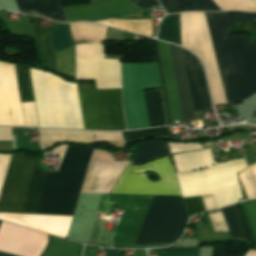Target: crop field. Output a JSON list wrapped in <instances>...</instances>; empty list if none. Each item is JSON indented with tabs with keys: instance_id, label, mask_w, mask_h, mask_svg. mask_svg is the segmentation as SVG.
Here are the masks:
<instances>
[{
	"instance_id": "5a996713",
	"label": "crop field",
	"mask_w": 256,
	"mask_h": 256,
	"mask_svg": "<svg viewBox=\"0 0 256 256\" xmlns=\"http://www.w3.org/2000/svg\"><path fill=\"white\" fill-rule=\"evenodd\" d=\"M123 106L128 129L148 126L142 88L160 87L156 63L121 64Z\"/></svg>"
},
{
	"instance_id": "8a807250",
	"label": "crop field",
	"mask_w": 256,
	"mask_h": 256,
	"mask_svg": "<svg viewBox=\"0 0 256 256\" xmlns=\"http://www.w3.org/2000/svg\"><path fill=\"white\" fill-rule=\"evenodd\" d=\"M91 151L68 146L59 169L49 173L37 168L38 160L12 154L0 194V212L36 214L48 173L37 214L72 216Z\"/></svg>"
},
{
	"instance_id": "34b2d1b8",
	"label": "crop field",
	"mask_w": 256,
	"mask_h": 256,
	"mask_svg": "<svg viewBox=\"0 0 256 256\" xmlns=\"http://www.w3.org/2000/svg\"><path fill=\"white\" fill-rule=\"evenodd\" d=\"M183 197L213 194L216 207L234 202L242 197L235 173L247 168L243 159L215 165L209 149L173 155Z\"/></svg>"
},
{
	"instance_id": "e52e79f7",
	"label": "crop field",
	"mask_w": 256,
	"mask_h": 256,
	"mask_svg": "<svg viewBox=\"0 0 256 256\" xmlns=\"http://www.w3.org/2000/svg\"><path fill=\"white\" fill-rule=\"evenodd\" d=\"M85 129L124 130L120 89L95 90L77 83Z\"/></svg>"
},
{
	"instance_id": "22f410ed",
	"label": "crop field",
	"mask_w": 256,
	"mask_h": 256,
	"mask_svg": "<svg viewBox=\"0 0 256 256\" xmlns=\"http://www.w3.org/2000/svg\"><path fill=\"white\" fill-rule=\"evenodd\" d=\"M0 125H24L14 65L1 62Z\"/></svg>"
},
{
	"instance_id": "28ad6ade",
	"label": "crop field",
	"mask_w": 256,
	"mask_h": 256,
	"mask_svg": "<svg viewBox=\"0 0 256 256\" xmlns=\"http://www.w3.org/2000/svg\"><path fill=\"white\" fill-rule=\"evenodd\" d=\"M69 22L94 21L113 18L140 11L126 0H103L94 4L63 8ZM135 34L151 37V20H114L95 21Z\"/></svg>"
},
{
	"instance_id": "92a150f3",
	"label": "crop field",
	"mask_w": 256,
	"mask_h": 256,
	"mask_svg": "<svg viewBox=\"0 0 256 256\" xmlns=\"http://www.w3.org/2000/svg\"><path fill=\"white\" fill-rule=\"evenodd\" d=\"M221 210L224 215L231 237L250 243L238 205H232L226 208H222Z\"/></svg>"
},
{
	"instance_id": "ae1a2a85",
	"label": "crop field",
	"mask_w": 256,
	"mask_h": 256,
	"mask_svg": "<svg viewBox=\"0 0 256 256\" xmlns=\"http://www.w3.org/2000/svg\"><path fill=\"white\" fill-rule=\"evenodd\" d=\"M50 42L53 47V51L63 50L72 44L71 36L69 33L67 24H58L57 29L52 31Z\"/></svg>"
},
{
	"instance_id": "120bbe31",
	"label": "crop field",
	"mask_w": 256,
	"mask_h": 256,
	"mask_svg": "<svg viewBox=\"0 0 256 256\" xmlns=\"http://www.w3.org/2000/svg\"><path fill=\"white\" fill-rule=\"evenodd\" d=\"M183 199H184L188 218L205 211L201 196L188 197Z\"/></svg>"
},
{
	"instance_id": "a9b5d70f",
	"label": "crop field",
	"mask_w": 256,
	"mask_h": 256,
	"mask_svg": "<svg viewBox=\"0 0 256 256\" xmlns=\"http://www.w3.org/2000/svg\"><path fill=\"white\" fill-rule=\"evenodd\" d=\"M157 39L181 46L179 14L172 15L160 23Z\"/></svg>"
},
{
	"instance_id": "d1516ede",
	"label": "crop field",
	"mask_w": 256,
	"mask_h": 256,
	"mask_svg": "<svg viewBox=\"0 0 256 256\" xmlns=\"http://www.w3.org/2000/svg\"><path fill=\"white\" fill-rule=\"evenodd\" d=\"M127 162H113L105 150H93L80 193L107 194Z\"/></svg>"
},
{
	"instance_id": "733c2abd",
	"label": "crop field",
	"mask_w": 256,
	"mask_h": 256,
	"mask_svg": "<svg viewBox=\"0 0 256 256\" xmlns=\"http://www.w3.org/2000/svg\"><path fill=\"white\" fill-rule=\"evenodd\" d=\"M20 12L42 15L53 20L65 22L62 9L57 0H14Z\"/></svg>"
},
{
	"instance_id": "d8731c3e",
	"label": "crop field",
	"mask_w": 256,
	"mask_h": 256,
	"mask_svg": "<svg viewBox=\"0 0 256 256\" xmlns=\"http://www.w3.org/2000/svg\"><path fill=\"white\" fill-rule=\"evenodd\" d=\"M182 46L194 52L204 64L214 104H227L203 13L180 14Z\"/></svg>"
},
{
	"instance_id": "dd49c442",
	"label": "crop field",
	"mask_w": 256,
	"mask_h": 256,
	"mask_svg": "<svg viewBox=\"0 0 256 256\" xmlns=\"http://www.w3.org/2000/svg\"><path fill=\"white\" fill-rule=\"evenodd\" d=\"M187 221L182 196H154L134 245L175 242Z\"/></svg>"
},
{
	"instance_id": "bd1437ed",
	"label": "crop field",
	"mask_w": 256,
	"mask_h": 256,
	"mask_svg": "<svg viewBox=\"0 0 256 256\" xmlns=\"http://www.w3.org/2000/svg\"><path fill=\"white\" fill-rule=\"evenodd\" d=\"M76 57L105 58L103 43L75 45Z\"/></svg>"
},
{
	"instance_id": "412701ff",
	"label": "crop field",
	"mask_w": 256,
	"mask_h": 256,
	"mask_svg": "<svg viewBox=\"0 0 256 256\" xmlns=\"http://www.w3.org/2000/svg\"><path fill=\"white\" fill-rule=\"evenodd\" d=\"M29 71L40 126L84 129L76 85L45 72Z\"/></svg>"
},
{
	"instance_id": "00972430",
	"label": "crop field",
	"mask_w": 256,
	"mask_h": 256,
	"mask_svg": "<svg viewBox=\"0 0 256 256\" xmlns=\"http://www.w3.org/2000/svg\"><path fill=\"white\" fill-rule=\"evenodd\" d=\"M144 100L150 125L165 124L164 112L161 106L158 89L145 92Z\"/></svg>"
},
{
	"instance_id": "f4fd0767",
	"label": "crop field",
	"mask_w": 256,
	"mask_h": 256,
	"mask_svg": "<svg viewBox=\"0 0 256 256\" xmlns=\"http://www.w3.org/2000/svg\"><path fill=\"white\" fill-rule=\"evenodd\" d=\"M151 43L153 47V62H158V66H159V72H160V78H161V84H162V90H163V96H164L168 120H170V118L171 120H182V118L183 120H195L194 113L192 110V104H191V98H190V92H189V86L187 81L182 48L170 44L176 82H177V88H178V94H179V100H180V106H181V112H182V118H181L170 46L169 44L157 41L160 60H161V66H162V72H163V78L165 83L166 95L168 100L169 112H170V118H169V112H168V106L166 101L161 66L159 61L157 43H156V40H152Z\"/></svg>"
},
{
	"instance_id": "c035e120",
	"label": "crop field",
	"mask_w": 256,
	"mask_h": 256,
	"mask_svg": "<svg viewBox=\"0 0 256 256\" xmlns=\"http://www.w3.org/2000/svg\"><path fill=\"white\" fill-rule=\"evenodd\" d=\"M0 140H11L10 128H0Z\"/></svg>"
},
{
	"instance_id": "750c4746",
	"label": "crop field",
	"mask_w": 256,
	"mask_h": 256,
	"mask_svg": "<svg viewBox=\"0 0 256 256\" xmlns=\"http://www.w3.org/2000/svg\"><path fill=\"white\" fill-rule=\"evenodd\" d=\"M247 222L251 237L256 246V200L239 204Z\"/></svg>"
},
{
	"instance_id": "d9b57169",
	"label": "crop field",
	"mask_w": 256,
	"mask_h": 256,
	"mask_svg": "<svg viewBox=\"0 0 256 256\" xmlns=\"http://www.w3.org/2000/svg\"><path fill=\"white\" fill-rule=\"evenodd\" d=\"M184 57L190 84L194 112L212 108L210 96L199 61L190 52L184 50Z\"/></svg>"
},
{
	"instance_id": "214f88e0",
	"label": "crop field",
	"mask_w": 256,
	"mask_h": 256,
	"mask_svg": "<svg viewBox=\"0 0 256 256\" xmlns=\"http://www.w3.org/2000/svg\"><path fill=\"white\" fill-rule=\"evenodd\" d=\"M210 11H220L212 0H201ZM200 0H183L190 11H209ZM167 13L189 11L182 0H159Z\"/></svg>"
},
{
	"instance_id": "d32e631a",
	"label": "crop field",
	"mask_w": 256,
	"mask_h": 256,
	"mask_svg": "<svg viewBox=\"0 0 256 256\" xmlns=\"http://www.w3.org/2000/svg\"><path fill=\"white\" fill-rule=\"evenodd\" d=\"M25 126H38L33 102L21 103Z\"/></svg>"
},
{
	"instance_id": "d3111659",
	"label": "crop field",
	"mask_w": 256,
	"mask_h": 256,
	"mask_svg": "<svg viewBox=\"0 0 256 256\" xmlns=\"http://www.w3.org/2000/svg\"><path fill=\"white\" fill-rule=\"evenodd\" d=\"M248 199L256 198V164L238 175Z\"/></svg>"
},
{
	"instance_id": "5866460e",
	"label": "crop field",
	"mask_w": 256,
	"mask_h": 256,
	"mask_svg": "<svg viewBox=\"0 0 256 256\" xmlns=\"http://www.w3.org/2000/svg\"><path fill=\"white\" fill-rule=\"evenodd\" d=\"M168 144H169L171 153L201 148L200 145H198V143H168Z\"/></svg>"
},
{
	"instance_id": "4177f3b9",
	"label": "crop field",
	"mask_w": 256,
	"mask_h": 256,
	"mask_svg": "<svg viewBox=\"0 0 256 256\" xmlns=\"http://www.w3.org/2000/svg\"><path fill=\"white\" fill-rule=\"evenodd\" d=\"M124 141L145 139L151 137H176L178 134H172L171 127H158L137 131L122 132Z\"/></svg>"
},
{
	"instance_id": "eef30255",
	"label": "crop field",
	"mask_w": 256,
	"mask_h": 256,
	"mask_svg": "<svg viewBox=\"0 0 256 256\" xmlns=\"http://www.w3.org/2000/svg\"><path fill=\"white\" fill-rule=\"evenodd\" d=\"M15 67L21 102L34 101L28 68L17 64Z\"/></svg>"
},
{
	"instance_id": "3316defc",
	"label": "crop field",
	"mask_w": 256,
	"mask_h": 256,
	"mask_svg": "<svg viewBox=\"0 0 256 256\" xmlns=\"http://www.w3.org/2000/svg\"><path fill=\"white\" fill-rule=\"evenodd\" d=\"M130 170L129 163L110 194L181 195L175 170L168 156L135 166L132 170V173L152 170L158 174L160 182L151 181L144 174H130Z\"/></svg>"
},
{
	"instance_id": "03da06ac",
	"label": "crop field",
	"mask_w": 256,
	"mask_h": 256,
	"mask_svg": "<svg viewBox=\"0 0 256 256\" xmlns=\"http://www.w3.org/2000/svg\"><path fill=\"white\" fill-rule=\"evenodd\" d=\"M245 256H256V251H252L249 249Z\"/></svg>"
},
{
	"instance_id": "028f5c9d",
	"label": "crop field",
	"mask_w": 256,
	"mask_h": 256,
	"mask_svg": "<svg viewBox=\"0 0 256 256\" xmlns=\"http://www.w3.org/2000/svg\"><path fill=\"white\" fill-rule=\"evenodd\" d=\"M231 23L256 19V13L227 12Z\"/></svg>"
},
{
	"instance_id": "ac0d7876",
	"label": "crop field",
	"mask_w": 256,
	"mask_h": 256,
	"mask_svg": "<svg viewBox=\"0 0 256 256\" xmlns=\"http://www.w3.org/2000/svg\"><path fill=\"white\" fill-rule=\"evenodd\" d=\"M204 14L227 102L256 94V43L232 36L226 12Z\"/></svg>"
},
{
	"instance_id": "0bd39190",
	"label": "crop field",
	"mask_w": 256,
	"mask_h": 256,
	"mask_svg": "<svg viewBox=\"0 0 256 256\" xmlns=\"http://www.w3.org/2000/svg\"><path fill=\"white\" fill-rule=\"evenodd\" d=\"M10 155H0V190L8 166Z\"/></svg>"
},
{
	"instance_id": "cbeb9de0",
	"label": "crop field",
	"mask_w": 256,
	"mask_h": 256,
	"mask_svg": "<svg viewBox=\"0 0 256 256\" xmlns=\"http://www.w3.org/2000/svg\"><path fill=\"white\" fill-rule=\"evenodd\" d=\"M76 79H96V89L120 88L119 60L76 58Z\"/></svg>"
},
{
	"instance_id": "b80d0937",
	"label": "crop field",
	"mask_w": 256,
	"mask_h": 256,
	"mask_svg": "<svg viewBox=\"0 0 256 256\" xmlns=\"http://www.w3.org/2000/svg\"><path fill=\"white\" fill-rule=\"evenodd\" d=\"M134 5L147 9L151 6L158 5V2H157V0H141L137 3H135Z\"/></svg>"
},
{
	"instance_id": "b54c1fbb",
	"label": "crop field",
	"mask_w": 256,
	"mask_h": 256,
	"mask_svg": "<svg viewBox=\"0 0 256 256\" xmlns=\"http://www.w3.org/2000/svg\"><path fill=\"white\" fill-rule=\"evenodd\" d=\"M129 2H131L132 4L139 1V0H128Z\"/></svg>"
},
{
	"instance_id": "bc2a9ffb",
	"label": "crop field",
	"mask_w": 256,
	"mask_h": 256,
	"mask_svg": "<svg viewBox=\"0 0 256 256\" xmlns=\"http://www.w3.org/2000/svg\"><path fill=\"white\" fill-rule=\"evenodd\" d=\"M1 222V221H0ZM82 245L48 235V244L39 256H80ZM0 256H13L1 253Z\"/></svg>"
},
{
	"instance_id": "e1f06a70",
	"label": "crop field",
	"mask_w": 256,
	"mask_h": 256,
	"mask_svg": "<svg viewBox=\"0 0 256 256\" xmlns=\"http://www.w3.org/2000/svg\"><path fill=\"white\" fill-rule=\"evenodd\" d=\"M95 140H122L119 132H94Z\"/></svg>"
},
{
	"instance_id": "5142ce71",
	"label": "crop field",
	"mask_w": 256,
	"mask_h": 256,
	"mask_svg": "<svg viewBox=\"0 0 256 256\" xmlns=\"http://www.w3.org/2000/svg\"><path fill=\"white\" fill-rule=\"evenodd\" d=\"M72 217L0 213V219L65 238Z\"/></svg>"
},
{
	"instance_id": "730fd06b",
	"label": "crop field",
	"mask_w": 256,
	"mask_h": 256,
	"mask_svg": "<svg viewBox=\"0 0 256 256\" xmlns=\"http://www.w3.org/2000/svg\"><path fill=\"white\" fill-rule=\"evenodd\" d=\"M57 71L75 77L74 46L55 53Z\"/></svg>"
},
{
	"instance_id": "dafd665d",
	"label": "crop field",
	"mask_w": 256,
	"mask_h": 256,
	"mask_svg": "<svg viewBox=\"0 0 256 256\" xmlns=\"http://www.w3.org/2000/svg\"><path fill=\"white\" fill-rule=\"evenodd\" d=\"M135 148L137 150V157L132 160L133 165L153 160L170 153L168 144L161 142H147Z\"/></svg>"
},
{
	"instance_id": "4a817a6b",
	"label": "crop field",
	"mask_w": 256,
	"mask_h": 256,
	"mask_svg": "<svg viewBox=\"0 0 256 256\" xmlns=\"http://www.w3.org/2000/svg\"><path fill=\"white\" fill-rule=\"evenodd\" d=\"M42 149L60 140L93 142V132L40 129Z\"/></svg>"
},
{
	"instance_id": "c21b1889",
	"label": "crop field",
	"mask_w": 256,
	"mask_h": 256,
	"mask_svg": "<svg viewBox=\"0 0 256 256\" xmlns=\"http://www.w3.org/2000/svg\"><path fill=\"white\" fill-rule=\"evenodd\" d=\"M106 256H122L121 252H113L110 250H107Z\"/></svg>"
},
{
	"instance_id": "1d83c4d3",
	"label": "crop field",
	"mask_w": 256,
	"mask_h": 256,
	"mask_svg": "<svg viewBox=\"0 0 256 256\" xmlns=\"http://www.w3.org/2000/svg\"><path fill=\"white\" fill-rule=\"evenodd\" d=\"M163 251V256H198L197 248H173V246L163 249H151L148 253Z\"/></svg>"
}]
</instances>
